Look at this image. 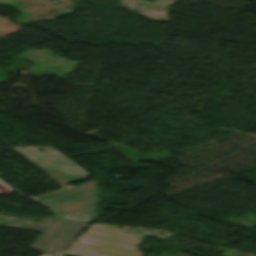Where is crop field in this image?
<instances>
[{"label":"crop field","instance_id":"crop-field-2","mask_svg":"<svg viewBox=\"0 0 256 256\" xmlns=\"http://www.w3.org/2000/svg\"><path fill=\"white\" fill-rule=\"evenodd\" d=\"M95 192L93 181L34 200L66 219L93 222L97 205Z\"/></svg>","mask_w":256,"mask_h":256},{"label":"crop field","instance_id":"crop-field-3","mask_svg":"<svg viewBox=\"0 0 256 256\" xmlns=\"http://www.w3.org/2000/svg\"><path fill=\"white\" fill-rule=\"evenodd\" d=\"M42 171H57L66 182H74L88 177V172L62 155L51 146L12 148ZM37 149L43 150L42 152Z\"/></svg>","mask_w":256,"mask_h":256},{"label":"crop field","instance_id":"crop-field-6","mask_svg":"<svg viewBox=\"0 0 256 256\" xmlns=\"http://www.w3.org/2000/svg\"><path fill=\"white\" fill-rule=\"evenodd\" d=\"M42 256H49V255H45V254H43Z\"/></svg>","mask_w":256,"mask_h":256},{"label":"crop field","instance_id":"crop-field-1","mask_svg":"<svg viewBox=\"0 0 256 256\" xmlns=\"http://www.w3.org/2000/svg\"><path fill=\"white\" fill-rule=\"evenodd\" d=\"M32 219L0 216V226L44 232L30 249L61 256L67 246L89 225L86 223L61 221L55 219Z\"/></svg>","mask_w":256,"mask_h":256},{"label":"crop field","instance_id":"crop-field-4","mask_svg":"<svg viewBox=\"0 0 256 256\" xmlns=\"http://www.w3.org/2000/svg\"><path fill=\"white\" fill-rule=\"evenodd\" d=\"M46 174L49 176L50 179H52L59 185L64 186V187L70 186V185H68V183H66L64 181V179L61 177V175L59 173L50 171V172H46Z\"/></svg>","mask_w":256,"mask_h":256},{"label":"crop field","instance_id":"crop-field-5","mask_svg":"<svg viewBox=\"0 0 256 256\" xmlns=\"http://www.w3.org/2000/svg\"><path fill=\"white\" fill-rule=\"evenodd\" d=\"M11 190L12 189H10L8 186H6L0 181V194L10 192Z\"/></svg>","mask_w":256,"mask_h":256}]
</instances>
